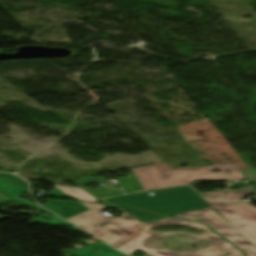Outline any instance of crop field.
Segmentation results:
<instances>
[{
  "label": "crop field",
  "mask_w": 256,
  "mask_h": 256,
  "mask_svg": "<svg viewBox=\"0 0 256 256\" xmlns=\"http://www.w3.org/2000/svg\"><path fill=\"white\" fill-rule=\"evenodd\" d=\"M148 192H153L150 196ZM113 205L128 204L169 215L210 206L188 186L147 191L105 199Z\"/></svg>",
  "instance_id": "obj_1"
},
{
  "label": "crop field",
  "mask_w": 256,
  "mask_h": 256,
  "mask_svg": "<svg viewBox=\"0 0 256 256\" xmlns=\"http://www.w3.org/2000/svg\"><path fill=\"white\" fill-rule=\"evenodd\" d=\"M81 204L90 208L91 210H88L67 220L97 237L98 239L106 241L108 244L114 247L133 237L138 229L145 224L135 220L116 207L88 203L99 210L104 207L116 208L123 213L121 218H114L112 216L107 217L86 203ZM107 221L110 223L104 225L103 227L100 226V224Z\"/></svg>",
  "instance_id": "obj_2"
},
{
  "label": "crop field",
  "mask_w": 256,
  "mask_h": 256,
  "mask_svg": "<svg viewBox=\"0 0 256 256\" xmlns=\"http://www.w3.org/2000/svg\"><path fill=\"white\" fill-rule=\"evenodd\" d=\"M251 192L250 188H244L243 190H227L200 196L256 247V207L241 200L243 196L250 195ZM236 202L240 204H230ZM247 253L248 256H256V251Z\"/></svg>",
  "instance_id": "obj_3"
},
{
  "label": "crop field",
  "mask_w": 256,
  "mask_h": 256,
  "mask_svg": "<svg viewBox=\"0 0 256 256\" xmlns=\"http://www.w3.org/2000/svg\"><path fill=\"white\" fill-rule=\"evenodd\" d=\"M213 169L223 170L221 173L210 172ZM230 170L231 173H225ZM144 190L191 183L194 180H235L244 179L239 167L233 165H216L200 167V170H174L171 172L159 171L156 166H145L133 169ZM162 175H168L170 178L163 179Z\"/></svg>",
  "instance_id": "obj_4"
},
{
  "label": "crop field",
  "mask_w": 256,
  "mask_h": 256,
  "mask_svg": "<svg viewBox=\"0 0 256 256\" xmlns=\"http://www.w3.org/2000/svg\"><path fill=\"white\" fill-rule=\"evenodd\" d=\"M157 225L159 226L185 225V226H189L196 229H202L206 233L202 235H195V234L185 233V232L157 233V232L149 231L150 228L155 227ZM142 229L154 237L183 233V234L192 236L193 238L196 239L194 241H190V243L197 242L202 239H207L210 242V244H212L211 246L198 250L197 252L178 253L181 256H227V255H222L225 252H231L233 256H242L241 252L237 248H235L230 243H228L227 241L219 237L217 234L211 231L208 227L200 223H196V222H192V221H188L180 218H167L165 220L147 224ZM230 246H232V248H230ZM220 249H224V250L220 252L219 251Z\"/></svg>",
  "instance_id": "obj_5"
},
{
  "label": "crop field",
  "mask_w": 256,
  "mask_h": 256,
  "mask_svg": "<svg viewBox=\"0 0 256 256\" xmlns=\"http://www.w3.org/2000/svg\"><path fill=\"white\" fill-rule=\"evenodd\" d=\"M200 213L204 214L201 216H197ZM175 216L207 223L208 226H210L232 244L240 248L243 252L256 250V248L252 244H250L235 228H233L222 216L216 213L211 207Z\"/></svg>",
  "instance_id": "obj_6"
},
{
  "label": "crop field",
  "mask_w": 256,
  "mask_h": 256,
  "mask_svg": "<svg viewBox=\"0 0 256 256\" xmlns=\"http://www.w3.org/2000/svg\"><path fill=\"white\" fill-rule=\"evenodd\" d=\"M147 236H149V234L141 229L134 239L130 240L129 242L125 243L117 249L129 254L130 256L132 255L134 250H142L153 256H179L176 253H171L168 250H154L144 248L142 245V240Z\"/></svg>",
  "instance_id": "obj_7"
},
{
  "label": "crop field",
  "mask_w": 256,
  "mask_h": 256,
  "mask_svg": "<svg viewBox=\"0 0 256 256\" xmlns=\"http://www.w3.org/2000/svg\"><path fill=\"white\" fill-rule=\"evenodd\" d=\"M46 201L49 203L43 205V207H47L48 209H50L54 213H57L58 215L62 216L65 219L88 210L86 207L77 202L52 200Z\"/></svg>",
  "instance_id": "obj_8"
},
{
  "label": "crop field",
  "mask_w": 256,
  "mask_h": 256,
  "mask_svg": "<svg viewBox=\"0 0 256 256\" xmlns=\"http://www.w3.org/2000/svg\"><path fill=\"white\" fill-rule=\"evenodd\" d=\"M118 208H120L124 212L128 213L132 217H134L140 221L146 222V223L167 217L165 215H161L158 213L145 211V210L137 209V208H131V207H127V206H118Z\"/></svg>",
  "instance_id": "obj_9"
},
{
  "label": "crop field",
  "mask_w": 256,
  "mask_h": 256,
  "mask_svg": "<svg viewBox=\"0 0 256 256\" xmlns=\"http://www.w3.org/2000/svg\"><path fill=\"white\" fill-rule=\"evenodd\" d=\"M0 191L13 200L20 199L22 193L27 192L24 188L0 177Z\"/></svg>",
  "instance_id": "obj_10"
},
{
  "label": "crop field",
  "mask_w": 256,
  "mask_h": 256,
  "mask_svg": "<svg viewBox=\"0 0 256 256\" xmlns=\"http://www.w3.org/2000/svg\"><path fill=\"white\" fill-rule=\"evenodd\" d=\"M58 189L62 190L66 194H68L71 197H75L76 199L84 200V201H95L98 200L95 197L91 196L84 190L80 189L79 187L72 188V187H65V186H58L54 185Z\"/></svg>",
  "instance_id": "obj_11"
},
{
  "label": "crop field",
  "mask_w": 256,
  "mask_h": 256,
  "mask_svg": "<svg viewBox=\"0 0 256 256\" xmlns=\"http://www.w3.org/2000/svg\"><path fill=\"white\" fill-rule=\"evenodd\" d=\"M0 175L5 177V178H7V179H9V180H11L12 182H14V183L24 187L25 189L28 188L27 184L23 180L18 178V177H15V176H13L11 174H2V173H0Z\"/></svg>",
  "instance_id": "obj_12"
},
{
  "label": "crop field",
  "mask_w": 256,
  "mask_h": 256,
  "mask_svg": "<svg viewBox=\"0 0 256 256\" xmlns=\"http://www.w3.org/2000/svg\"><path fill=\"white\" fill-rule=\"evenodd\" d=\"M89 256H126L116 250H104L99 253H94Z\"/></svg>",
  "instance_id": "obj_13"
},
{
  "label": "crop field",
  "mask_w": 256,
  "mask_h": 256,
  "mask_svg": "<svg viewBox=\"0 0 256 256\" xmlns=\"http://www.w3.org/2000/svg\"><path fill=\"white\" fill-rule=\"evenodd\" d=\"M101 248L103 249H108V248H111L109 247L108 245L104 244V243H101V244H98V245H95V246H92V247H88L86 249H83V251L91 254V253H94V251L96 250H100Z\"/></svg>",
  "instance_id": "obj_14"
},
{
  "label": "crop field",
  "mask_w": 256,
  "mask_h": 256,
  "mask_svg": "<svg viewBox=\"0 0 256 256\" xmlns=\"http://www.w3.org/2000/svg\"><path fill=\"white\" fill-rule=\"evenodd\" d=\"M52 195H54V196H68V195H66L65 193L61 192L60 190H58L55 187L53 188Z\"/></svg>",
  "instance_id": "obj_15"
},
{
  "label": "crop field",
  "mask_w": 256,
  "mask_h": 256,
  "mask_svg": "<svg viewBox=\"0 0 256 256\" xmlns=\"http://www.w3.org/2000/svg\"><path fill=\"white\" fill-rule=\"evenodd\" d=\"M12 200L3 196L2 194H0V204L2 203H6V202H11Z\"/></svg>",
  "instance_id": "obj_16"
},
{
  "label": "crop field",
  "mask_w": 256,
  "mask_h": 256,
  "mask_svg": "<svg viewBox=\"0 0 256 256\" xmlns=\"http://www.w3.org/2000/svg\"><path fill=\"white\" fill-rule=\"evenodd\" d=\"M11 49L0 50V52H11Z\"/></svg>",
  "instance_id": "obj_17"
},
{
  "label": "crop field",
  "mask_w": 256,
  "mask_h": 256,
  "mask_svg": "<svg viewBox=\"0 0 256 256\" xmlns=\"http://www.w3.org/2000/svg\"><path fill=\"white\" fill-rule=\"evenodd\" d=\"M101 202L104 203V204H107V205H111V204H109L108 202H106L104 200H101Z\"/></svg>",
  "instance_id": "obj_18"
},
{
  "label": "crop field",
  "mask_w": 256,
  "mask_h": 256,
  "mask_svg": "<svg viewBox=\"0 0 256 256\" xmlns=\"http://www.w3.org/2000/svg\"><path fill=\"white\" fill-rule=\"evenodd\" d=\"M7 218L6 216H0V219Z\"/></svg>",
  "instance_id": "obj_19"
},
{
  "label": "crop field",
  "mask_w": 256,
  "mask_h": 256,
  "mask_svg": "<svg viewBox=\"0 0 256 256\" xmlns=\"http://www.w3.org/2000/svg\"><path fill=\"white\" fill-rule=\"evenodd\" d=\"M0 168H1V166H0Z\"/></svg>",
  "instance_id": "obj_20"
}]
</instances>
